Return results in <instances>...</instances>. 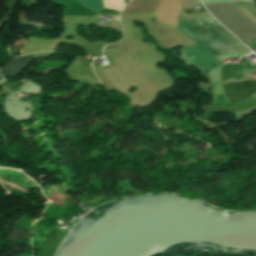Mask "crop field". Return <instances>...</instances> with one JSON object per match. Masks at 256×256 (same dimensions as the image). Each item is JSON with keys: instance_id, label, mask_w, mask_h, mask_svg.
<instances>
[{"instance_id": "obj_9", "label": "crop field", "mask_w": 256, "mask_h": 256, "mask_svg": "<svg viewBox=\"0 0 256 256\" xmlns=\"http://www.w3.org/2000/svg\"><path fill=\"white\" fill-rule=\"evenodd\" d=\"M0 79H1V77H0Z\"/></svg>"}, {"instance_id": "obj_2", "label": "crop field", "mask_w": 256, "mask_h": 256, "mask_svg": "<svg viewBox=\"0 0 256 256\" xmlns=\"http://www.w3.org/2000/svg\"><path fill=\"white\" fill-rule=\"evenodd\" d=\"M203 72L220 66V63L204 46L189 47L182 50Z\"/></svg>"}, {"instance_id": "obj_1", "label": "crop field", "mask_w": 256, "mask_h": 256, "mask_svg": "<svg viewBox=\"0 0 256 256\" xmlns=\"http://www.w3.org/2000/svg\"><path fill=\"white\" fill-rule=\"evenodd\" d=\"M202 22L226 42L237 53L249 51L244 45L238 42L211 16L199 17ZM198 17L183 20L217 55L233 54V51L211 30H209ZM182 20H179L178 28L192 39L204 43Z\"/></svg>"}, {"instance_id": "obj_3", "label": "crop field", "mask_w": 256, "mask_h": 256, "mask_svg": "<svg viewBox=\"0 0 256 256\" xmlns=\"http://www.w3.org/2000/svg\"><path fill=\"white\" fill-rule=\"evenodd\" d=\"M228 100L231 103L245 100L256 93V82H249L224 89Z\"/></svg>"}, {"instance_id": "obj_7", "label": "crop field", "mask_w": 256, "mask_h": 256, "mask_svg": "<svg viewBox=\"0 0 256 256\" xmlns=\"http://www.w3.org/2000/svg\"><path fill=\"white\" fill-rule=\"evenodd\" d=\"M225 103H229V101L227 99H224V100H219V101L212 102V104H225Z\"/></svg>"}, {"instance_id": "obj_4", "label": "crop field", "mask_w": 256, "mask_h": 256, "mask_svg": "<svg viewBox=\"0 0 256 256\" xmlns=\"http://www.w3.org/2000/svg\"><path fill=\"white\" fill-rule=\"evenodd\" d=\"M34 59L32 55L16 58L1 68L0 73L4 77H14Z\"/></svg>"}, {"instance_id": "obj_5", "label": "crop field", "mask_w": 256, "mask_h": 256, "mask_svg": "<svg viewBox=\"0 0 256 256\" xmlns=\"http://www.w3.org/2000/svg\"><path fill=\"white\" fill-rule=\"evenodd\" d=\"M256 96V94H254ZM256 106V98H250L244 102L236 103L232 105H204L205 111L212 112H237Z\"/></svg>"}, {"instance_id": "obj_8", "label": "crop field", "mask_w": 256, "mask_h": 256, "mask_svg": "<svg viewBox=\"0 0 256 256\" xmlns=\"http://www.w3.org/2000/svg\"><path fill=\"white\" fill-rule=\"evenodd\" d=\"M254 4H256V0H253Z\"/></svg>"}, {"instance_id": "obj_6", "label": "crop field", "mask_w": 256, "mask_h": 256, "mask_svg": "<svg viewBox=\"0 0 256 256\" xmlns=\"http://www.w3.org/2000/svg\"><path fill=\"white\" fill-rule=\"evenodd\" d=\"M77 1L89 7L91 10H101L103 7L102 0H77Z\"/></svg>"}]
</instances>
